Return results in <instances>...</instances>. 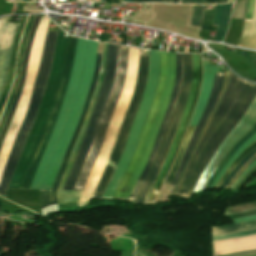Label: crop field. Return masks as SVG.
Wrapping results in <instances>:
<instances>
[{"label":"crop field","mask_w":256,"mask_h":256,"mask_svg":"<svg viewBox=\"0 0 256 256\" xmlns=\"http://www.w3.org/2000/svg\"><path fill=\"white\" fill-rule=\"evenodd\" d=\"M233 0H227V2H232Z\"/></svg>","instance_id":"crop-field-50"},{"label":"crop field","mask_w":256,"mask_h":256,"mask_svg":"<svg viewBox=\"0 0 256 256\" xmlns=\"http://www.w3.org/2000/svg\"><path fill=\"white\" fill-rule=\"evenodd\" d=\"M256 132V123L251 127V129L233 146V148L227 153V155L224 157V159L221 161L219 166L214 171L213 175L207 182L204 189H208L210 184L212 183L214 177L217 175V173L222 169V167L225 165V163L228 161V159L231 157V155L239 148V146L247 140L251 135H253Z\"/></svg>","instance_id":"crop-field-25"},{"label":"crop field","mask_w":256,"mask_h":256,"mask_svg":"<svg viewBox=\"0 0 256 256\" xmlns=\"http://www.w3.org/2000/svg\"><path fill=\"white\" fill-rule=\"evenodd\" d=\"M228 76H229V72H227L226 75H225V77H224L222 89H221V91H220V93H219V96H218V98H217V100H216V102H215V105H214V107H213V109H212V111H211V113H210V115H209V117H208V119H207V122H206V125H205L204 129L206 128L208 122L210 121V119H211V117H212V115H213V113H214V110H215V108H216V106H217V103H218V101H219V99H220V97H221V95H222V93H223V91H224V88H225V85H226ZM204 129H203V131H204ZM203 131H202V133H203ZM202 133H201V135H202ZM201 135H200V137H201ZM200 137L198 138V140H197V142H196V144H195V146H194V148H193V151H192V153H191V155H190V157H189V159H188V161H187V163H186V165H185V167H184V169H183V171H182V173H181V175H180V177H179V179H178V181H177V183H176V185H175V187L178 185V183H179V181H180V178H181V176H182V174H183V172H184V170H185V168H186V166H187V164H188V162H189V160H190V158H191V156H192V154H193V152H194V150H195V148H196V146H197V144H198V142H199V140H200Z\"/></svg>","instance_id":"crop-field-29"},{"label":"crop field","mask_w":256,"mask_h":256,"mask_svg":"<svg viewBox=\"0 0 256 256\" xmlns=\"http://www.w3.org/2000/svg\"><path fill=\"white\" fill-rule=\"evenodd\" d=\"M34 17L35 16H30L26 25H25V28H24V32H23V36H22V40H21V46H20V52H19V58H18V65H17V75H16V83L12 89V92L9 96V99H8V102H7V105H6V108H5V111L3 113V116H2V119H1V122H0V131H1V128L6 120V117H7V114H8V111H9V108H10V105H11V102L13 100V97H14V94L16 92V89H17V84H18V79H19V74H20V68H21V63H22V58H23V53H24V48H25V44H26V40H27V36H28V33H29V30H30V27L34 21Z\"/></svg>","instance_id":"crop-field-21"},{"label":"crop field","mask_w":256,"mask_h":256,"mask_svg":"<svg viewBox=\"0 0 256 256\" xmlns=\"http://www.w3.org/2000/svg\"><path fill=\"white\" fill-rule=\"evenodd\" d=\"M252 220H256V215L251 216V217H244V218H240V219H234L232 221H233L234 224H236V223L247 222V221H252Z\"/></svg>","instance_id":"crop-field-40"},{"label":"crop field","mask_w":256,"mask_h":256,"mask_svg":"<svg viewBox=\"0 0 256 256\" xmlns=\"http://www.w3.org/2000/svg\"><path fill=\"white\" fill-rule=\"evenodd\" d=\"M215 3V0H205V4Z\"/></svg>","instance_id":"crop-field-43"},{"label":"crop field","mask_w":256,"mask_h":256,"mask_svg":"<svg viewBox=\"0 0 256 256\" xmlns=\"http://www.w3.org/2000/svg\"><path fill=\"white\" fill-rule=\"evenodd\" d=\"M1 19V18H0Z\"/></svg>","instance_id":"crop-field-53"},{"label":"crop field","mask_w":256,"mask_h":256,"mask_svg":"<svg viewBox=\"0 0 256 256\" xmlns=\"http://www.w3.org/2000/svg\"><path fill=\"white\" fill-rule=\"evenodd\" d=\"M213 248H214V256H216L214 242H213Z\"/></svg>","instance_id":"crop-field-48"},{"label":"crop field","mask_w":256,"mask_h":256,"mask_svg":"<svg viewBox=\"0 0 256 256\" xmlns=\"http://www.w3.org/2000/svg\"><path fill=\"white\" fill-rule=\"evenodd\" d=\"M26 17L27 16H22L21 22H20V25H19V29H18L17 35H16L15 40H14V44H13V48H12V54H11V60H10V66H9V72H8L7 80H6L4 90H3V93H2V96H1V99H0V114L3 110L5 100H6V96H7V93L9 91V89H10V86H11L15 54H16L20 34H21V31H22L23 25L25 23Z\"/></svg>","instance_id":"crop-field-22"},{"label":"crop field","mask_w":256,"mask_h":256,"mask_svg":"<svg viewBox=\"0 0 256 256\" xmlns=\"http://www.w3.org/2000/svg\"><path fill=\"white\" fill-rule=\"evenodd\" d=\"M256 153V148L252 150L250 153H248L241 162L235 167V169L231 172V174L228 176V178L225 180V182L220 186V188H224L225 185L229 182V180L232 178V176L240 169V167L252 156Z\"/></svg>","instance_id":"crop-field-34"},{"label":"crop field","mask_w":256,"mask_h":256,"mask_svg":"<svg viewBox=\"0 0 256 256\" xmlns=\"http://www.w3.org/2000/svg\"><path fill=\"white\" fill-rule=\"evenodd\" d=\"M256 140V133L250 137L246 142H244L241 147L232 155V157L229 159V161L226 163V165L223 167V169L219 172V174L214 179L212 185L210 188H214L216 183L219 181L221 176L224 174V172L229 168V166L234 162V160L239 156V154L253 141Z\"/></svg>","instance_id":"crop-field-28"},{"label":"crop field","mask_w":256,"mask_h":256,"mask_svg":"<svg viewBox=\"0 0 256 256\" xmlns=\"http://www.w3.org/2000/svg\"><path fill=\"white\" fill-rule=\"evenodd\" d=\"M58 29L51 71L40 108L26 139L8 188L29 189L67 88L77 38Z\"/></svg>","instance_id":"crop-field-1"},{"label":"crop field","mask_w":256,"mask_h":256,"mask_svg":"<svg viewBox=\"0 0 256 256\" xmlns=\"http://www.w3.org/2000/svg\"><path fill=\"white\" fill-rule=\"evenodd\" d=\"M250 234H256V230L244 231V232H240V233H236V234H231V235L216 236V237H213V241H215V240H223V239H231V238H236V237L250 235Z\"/></svg>","instance_id":"crop-field-36"},{"label":"crop field","mask_w":256,"mask_h":256,"mask_svg":"<svg viewBox=\"0 0 256 256\" xmlns=\"http://www.w3.org/2000/svg\"><path fill=\"white\" fill-rule=\"evenodd\" d=\"M179 82H180V54H176V78H175V82H174L173 89H172V92H171V96H170L169 104H168V107H167V111H166L163 123L161 125L160 131L157 135V139H156V141L153 145L151 155L148 159V163H147L144 171L142 172L140 178L138 179L137 183L135 184V186H134V188H133V190L130 194V197H129L130 202H133V200L135 198V195H136V192H137L140 184L142 183L143 179L145 178V176H146V174H147V172L150 168V165H151V163L154 159L158 144H159V142H160V140L163 136L165 126L168 122V118H169L170 112L172 110L174 101H175V97H176V93H177V90H178Z\"/></svg>","instance_id":"crop-field-17"},{"label":"crop field","mask_w":256,"mask_h":256,"mask_svg":"<svg viewBox=\"0 0 256 256\" xmlns=\"http://www.w3.org/2000/svg\"><path fill=\"white\" fill-rule=\"evenodd\" d=\"M10 18H2L0 23V96L8 71L13 40L19 25L9 23Z\"/></svg>","instance_id":"crop-field-16"},{"label":"crop field","mask_w":256,"mask_h":256,"mask_svg":"<svg viewBox=\"0 0 256 256\" xmlns=\"http://www.w3.org/2000/svg\"><path fill=\"white\" fill-rule=\"evenodd\" d=\"M160 76L152 107L129 167L113 198L127 201L150 155L158 128L163 120L175 78V54L160 52Z\"/></svg>","instance_id":"crop-field-4"},{"label":"crop field","mask_w":256,"mask_h":256,"mask_svg":"<svg viewBox=\"0 0 256 256\" xmlns=\"http://www.w3.org/2000/svg\"><path fill=\"white\" fill-rule=\"evenodd\" d=\"M127 55H128V51H123V50L119 51L116 79L113 84V88H112L111 94L109 96L107 105L105 107L103 116L101 118L99 127L97 129V132L95 134L92 145H91V147L88 151V154L86 156L85 162H84L81 172L79 174V177H78V180L74 187V190H82L83 189L84 184L87 180L88 174L94 164L96 156H97L99 149L102 145V142L105 137L107 127H108L115 103H116V101L120 95L121 89H122V85H123V81H124V77H125V71H126Z\"/></svg>","instance_id":"crop-field-12"},{"label":"crop field","mask_w":256,"mask_h":256,"mask_svg":"<svg viewBox=\"0 0 256 256\" xmlns=\"http://www.w3.org/2000/svg\"><path fill=\"white\" fill-rule=\"evenodd\" d=\"M40 17L41 16H36L34 25H33L32 29L29 33V36H28V40H27V44H26V48H25V53H24V58H23V63H22V69H21L18 89H17V92L15 94L14 100L12 102L7 120H6V122L3 126L1 134H0V147H1L2 141L4 139L5 133L7 131V128L10 124L11 119H12L13 113L15 111V108H16L19 96L21 94L22 88L24 86L25 75H26V71H27V60H28V56H29L30 46H31V42H32V39H33V36H34L35 30L37 28Z\"/></svg>","instance_id":"crop-field-19"},{"label":"crop field","mask_w":256,"mask_h":256,"mask_svg":"<svg viewBox=\"0 0 256 256\" xmlns=\"http://www.w3.org/2000/svg\"><path fill=\"white\" fill-rule=\"evenodd\" d=\"M48 22H49L48 17L46 16L41 17V20L39 22L38 28L36 30V33L33 39L30 56L28 60V71L26 75L25 87L19 99L16 111L14 113L13 119L6 133V136L1 148V152H0V178L4 169L11 145L13 143L14 137L25 115V111L27 108V104L29 101V97L32 91L33 83H34L35 76L39 66L40 55H41V51H42V47H43V43H44L46 31H47Z\"/></svg>","instance_id":"crop-field-9"},{"label":"crop field","mask_w":256,"mask_h":256,"mask_svg":"<svg viewBox=\"0 0 256 256\" xmlns=\"http://www.w3.org/2000/svg\"><path fill=\"white\" fill-rule=\"evenodd\" d=\"M256 159V154L252 156L242 167L241 169L233 176V178L230 180V182L227 184L226 187H229L232 182L239 176V174L246 168L248 167L254 160ZM241 175V174H240ZM234 183V182H233ZM225 187V188H226Z\"/></svg>","instance_id":"crop-field-37"},{"label":"crop field","mask_w":256,"mask_h":256,"mask_svg":"<svg viewBox=\"0 0 256 256\" xmlns=\"http://www.w3.org/2000/svg\"><path fill=\"white\" fill-rule=\"evenodd\" d=\"M250 210H256V204L255 203H249L244 205H238L227 208L224 215L244 212V211H250Z\"/></svg>","instance_id":"crop-field-33"},{"label":"crop field","mask_w":256,"mask_h":256,"mask_svg":"<svg viewBox=\"0 0 256 256\" xmlns=\"http://www.w3.org/2000/svg\"><path fill=\"white\" fill-rule=\"evenodd\" d=\"M192 75V64H191V54H181V82L177 94V98L170 115L169 122L166 126L164 137L158 147L155 159L151 165V168L141 184L138 193L136 195L133 204L142 205L145 197L158 175L162 164L166 158L169 146L171 144L172 138L174 136L180 115L185 107L187 92Z\"/></svg>","instance_id":"crop-field-6"},{"label":"crop field","mask_w":256,"mask_h":256,"mask_svg":"<svg viewBox=\"0 0 256 256\" xmlns=\"http://www.w3.org/2000/svg\"><path fill=\"white\" fill-rule=\"evenodd\" d=\"M255 93V85L230 73L224 94L174 192L175 195L190 197L205 165L239 121Z\"/></svg>","instance_id":"crop-field-3"},{"label":"crop field","mask_w":256,"mask_h":256,"mask_svg":"<svg viewBox=\"0 0 256 256\" xmlns=\"http://www.w3.org/2000/svg\"><path fill=\"white\" fill-rule=\"evenodd\" d=\"M98 43L78 38L74 65L57 122L30 189H51L65 150L76 129L91 83Z\"/></svg>","instance_id":"crop-field-2"},{"label":"crop field","mask_w":256,"mask_h":256,"mask_svg":"<svg viewBox=\"0 0 256 256\" xmlns=\"http://www.w3.org/2000/svg\"><path fill=\"white\" fill-rule=\"evenodd\" d=\"M100 56H98L97 54V60H96V67H95V71H94V75H93V79H92V83H91V86H90V89H89V93H88V96H87V99H86V102H85V105H84V108H83V111H82V114H81V117H80V120H79V123H78V126H77V129H76V132L66 150V153H65V156H64V160H63V163H62V166L54 180V184H53V187H52V191H46V190H40V204H41V208L45 207V206H48V205H52V204H57V199H56V188L59 184V181L61 179V176L66 168V164H67V161H68V158L70 156V153H71V150H72V147H73V144L75 142V139L78 135V132L81 128V125H82V122H83V119H84V116L86 114V111H87V108H88V105H89V101H90V98H91V95H92V92L94 90V87H95V83H96V79H97V75H98V71H99V65H100Z\"/></svg>","instance_id":"crop-field-15"},{"label":"crop field","mask_w":256,"mask_h":256,"mask_svg":"<svg viewBox=\"0 0 256 256\" xmlns=\"http://www.w3.org/2000/svg\"><path fill=\"white\" fill-rule=\"evenodd\" d=\"M236 1V0H235Z\"/></svg>","instance_id":"crop-field-54"},{"label":"crop field","mask_w":256,"mask_h":256,"mask_svg":"<svg viewBox=\"0 0 256 256\" xmlns=\"http://www.w3.org/2000/svg\"><path fill=\"white\" fill-rule=\"evenodd\" d=\"M238 45L256 49V0L252 20H245L244 32Z\"/></svg>","instance_id":"crop-field-23"},{"label":"crop field","mask_w":256,"mask_h":256,"mask_svg":"<svg viewBox=\"0 0 256 256\" xmlns=\"http://www.w3.org/2000/svg\"><path fill=\"white\" fill-rule=\"evenodd\" d=\"M222 78H223V73H216L215 74V80H214V84L212 86L210 98H209V100L206 104V107H205V109L202 113V116H201V118H200V120H199L193 134H192L191 141H190L189 147L187 149L186 155L184 157V160H183L177 174L175 175L174 179L171 182L172 185L175 184V182H176V180H177V178H178V176H179V174H180V172H181V170H182V168H183V166H184V164H185V162H186V160H187V158H188V156H189V154H190V152H191V150H192V148H193V146H194V144H195V142H196L203 126H204V124H205V122H206V119H207V117H208V115H209V113H210V111H211V109L214 105V102H215V99L217 97L218 91H219L220 86L222 84Z\"/></svg>","instance_id":"crop-field-18"},{"label":"crop field","mask_w":256,"mask_h":256,"mask_svg":"<svg viewBox=\"0 0 256 256\" xmlns=\"http://www.w3.org/2000/svg\"><path fill=\"white\" fill-rule=\"evenodd\" d=\"M114 1H123V0H114Z\"/></svg>","instance_id":"crop-field-51"},{"label":"crop field","mask_w":256,"mask_h":256,"mask_svg":"<svg viewBox=\"0 0 256 256\" xmlns=\"http://www.w3.org/2000/svg\"><path fill=\"white\" fill-rule=\"evenodd\" d=\"M245 214H247L248 216L249 215H254V214H256V211L246 212Z\"/></svg>","instance_id":"crop-field-44"},{"label":"crop field","mask_w":256,"mask_h":256,"mask_svg":"<svg viewBox=\"0 0 256 256\" xmlns=\"http://www.w3.org/2000/svg\"><path fill=\"white\" fill-rule=\"evenodd\" d=\"M181 3L204 4V0H181Z\"/></svg>","instance_id":"crop-field-42"},{"label":"crop field","mask_w":256,"mask_h":256,"mask_svg":"<svg viewBox=\"0 0 256 256\" xmlns=\"http://www.w3.org/2000/svg\"><path fill=\"white\" fill-rule=\"evenodd\" d=\"M253 4H254V0H249L248 1V6H247L246 17L245 18L251 19Z\"/></svg>","instance_id":"crop-field-39"},{"label":"crop field","mask_w":256,"mask_h":256,"mask_svg":"<svg viewBox=\"0 0 256 256\" xmlns=\"http://www.w3.org/2000/svg\"><path fill=\"white\" fill-rule=\"evenodd\" d=\"M147 70H148V56L140 55V63H139V69L137 73L136 83H135V89L132 96V99L130 101L129 107L124 115V120L121 125L116 143L114 145V148L111 152V155L107 161V164L105 166V169L102 173V176L98 182V185L95 189V192L91 199H100L104 189L118 163V160L121 156L125 141L127 139V136L129 134L131 123L134 119L137 107L141 101L143 90L146 84V78H147Z\"/></svg>","instance_id":"crop-field-10"},{"label":"crop field","mask_w":256,"mask_h":256,"mask_svg":"<svg viewBox=\"0 0 256 256\" xmlns=\"http://www.w3.org/2000/svg\"><path fill=\"white\" fill-rule=\"evenodd\" d=\"M32 1H39V0H32Z\"/></svg>","instance_id":"crop-field-52"},{"label":"crop field","mask_w":256,"mask_h":256,"mask_svg":"<svg viewBox=\"0 0 256 256\" xmlns=\"http://www.w3.org/2000/svg\"><path fill=\"white\" fill-rule=\"evenodd\" d=\"M204 5H193L190 25L201 27Z\"/></svg>","instance_id":"crop-field-30"},{"label":"crop field","mask_w":256,"mask_h":256,"mask_svg":"<svg viewBox=\"0 0 256 256\" xmlns=\"http://www.w3.org/2000/svg\"><path fill=\"white\" fill-rule=\"evenodd\" d=\"M72 1H76V0H68V2H72Z\"/></svg>","instance_id":"crop-field-49"},{"label":"crop field","mask_w":256,"mask_h":256,"mask_svg":"<svg viewBox=\"0 0 256 256\" xmlns=\"http://www.w3.org/2000/svg\"><path fill=\"white\" fill-rule=\"evenodd\" d=\"M248 252H256V250H254V251H248ZM243 253H247V252H242V253H237V254H243ZM231 255H236V254H231ZM225 256H230V255H225Z\"/></svg>","instance_id":"crop-field-45"},{"label":"crop field","mask_w":256,"mask_h":256,"mask_svg":"<svg viewBox=\"0 0 256 256\" xmlns=\"http://www.w3.org/2000/svg\"><path fill=\"white\" fill-rule=\"evenodd\" d=\"M226 0H216V3H225Z\"/></svg>","instance_id":"crop-field-46"},{"label":"crop field","mask_w":256,"mask_h":256,"mask_svg":"<svg viewBox=\"0 0 256 256\" xmlns=\"http://www.w3.org/2000/svg\"><path fill=\"white\" fill-rule=\"evenodd\" d=\"M247 0L235 2L231 17L244 19Z\"/></svg>","instance_id":"crop-field-32"},{"label":"crop field","mask_w":256,"mask_h":256,"mask_svg":"<svg viewBox=\"0 0 256 256\" xmlns=\"http://www.w3.org/2000/svg\"><path fill=\"white\" fill-rule=\"evenodd\" d=\"M56 33L57 32H47L46 35L41 56V62L26 111V115L15 137L0 181V194L3 196L7 190L10 178L14 172L23 144L31 129L32 123L40 105L42 93L49 73Z\"/></svg>","instance_id":"crop-field-5"},{"label":"crop field","mask_w":256,"mask_h":256,"mask_svg":"<svg viewBox=\"0 0 256 256\" xmlns=\"http://www.w3.org/2000/svg\"><path fill=\"white\" fill-rule=\"evenodd\" d=\"M159 76V52L150 50L149 71L147 84L144 90L142 101L138 107L130 134L126 141L120 161L110 179V182L102 198H112L121 180L126 166L135 150L144 120L151 107Z\"/></svg>","instance_id":"crop-field-7"},{"label":"crop field","mask_w":256,"mask_h":256,"mask_svg":"<svg viewBox=\"0 0 256 256\" xmlns=\"http://www.w3.org/2000/svg\"><path fill=\"white\" fill-rule=\"evenodd\" d=\"M244 256H256V253L250 254V255H244Z\"/></svg>","instance_id":"crop-field-47"},{"label":"crop field","mask_w":256,"mask_h":256,"mask_svg":"<svg viewBox=\"0 0 256 256\" xmlns=\"http://www.w3.org/2000/svg\"><path fill=\"white\" fill-rule=\"evenodd\" d=\"M106 47H107V44L104 43L103 51H102L101 67H100V71H99V76H98L97 84H96L94 93L92 95V98H91V101H90V105H89L86 117L84 119L81 131H80V133H79V135H78V137L76 139V142H75V145L73 147L71 156L69 158L66 171H65V173H64V175H63V177L61 179V182H60V184H59V186L57 188L58 204H78L79 197H80V194L82 192V191H65V190H62V188H63V184H64V182H65V180L67 178L68 172H69V170H70V168H71V166L73 164V158H74V156H75V154L77 152L79 143H80V141H81V139L83 137L86 124H87L88 119H89V117L91 115L92 108H93V105H94V102H95V99H96V96H97V93H98V89H99L100 83H101L102 78H103V73H104V68H105V58H106Z\"/></svg>","instance_id":"crop-field-14"},{"label":"crop field","mask_w":256,"mask_h":256,"mask_svg":"<svg viewBox=\"0 0 256 256\" xmlns=\"http://www.w3.org/2000/svg\"><path fill=\"white\" fill-rule=\"evenodd\" d=\"M192 60H193V75H192V81H191V85H190V89L187 97L186 107L181 115L175 136L173 138V141L170 146L164 165L158 177L156 178L154 184L152 185L144 204H154L157 194L161 188L162 182L180 146L187 124L191 118L192 112L195 107L199 89H200L201 75H202L200 54H192Z\"/></svg>","instance_id":"crop-field-11"},{"label":"crop field","mask_w":256,"mask_h":256,"mask_svg":"<svg viewBox=\"0 0 256 256\" xmlns=\"http://www.w3.org/2000/svg\"><path fill=\"white\" fill-rule=\"evenodd\" d=\"M119 46L108 44L106 70L103 82L100 86L99 93L94 105L91 118L87 124L84 137L80 143L78 152L74 158V165L68 175L67 181L63 189L73 190V186L77 180L78 174L84 162L87 151L91 145L92 139L96 132L100 118L102 116L104 107L106 105L108 96L111 91L113 81L115 79L116 64L118 59Z\"/></svg>","instance_id":"crop-field-8"},{"label":"crop field","mask_w":256,"mask_h":256,"mask_svg":"<svg viewBox=\"0 0 256 256\" xmlns=\"http://www.w3.org/2000/svg\"><path fill=\"white\" fill-rule=\"evenodd\" d=\"M250 229H256V221L230 225V226L215 227V228H212V232H213V236H215V235L239 232V231L250 230Z\"/></svg>","instance_id":"crop-field-27"},{"label":"crop field","mask_w":256,"mask_h":256,"mask_svg":"<svg viewBox=\"0 0 256 256\" xmlns=\"http://www.w3.org/2000/svg\"><path fill=\"white\" fill-rule=\"evenodd\" d=\"M256 165V160L248 167L246 168L242 173L241 175L234 181V183L230 186V188H234L235 185L240 181V179L254 166Z\"/></svg>","instance_id":"crop-field-38"},{"label":"crop field","mask_w":256,"mask_h":256,"mask_svg":"<svg viewBox=\"0 0 256 256\" xmlns=\"http://www.w3.org/2000/svg\"><path fill=\"white\" fill-rule=\"evenodd\" d=\"M245 114L250 115L256 118V94L246 110ZM243 115L237 125L232 129V131L227 135V137L223 140V142L218 147L217 151L213 155L210 162L205 167L202 175L200 176L194 192L202 190L213 171L220 163L222 158L226 155V153L230 150V148L247 132V130L256 122L255 118H252L247 115ZM193 192V193H194Z\"/></svg>","instance_id":"crop-field-13"},{"label":"crop field","mask_w":256,"mask_h":256,"mask_svg":"<svg viewBox=\"0 0 256 256\" xmlns=\"http://www.w3.org/2000/svg\"><path fill=\"white\" fill-rule=\"evenodd\" d=\"M194 128H195V126H189L188 127V130L186 132V135H185V138L183 140L182 146H181V148L179 150V153H178V155L176 157V160H175V162H174V164H173V166H172V168L170 170V173H169L165 183L170 184L171 180L173 179V177H174V175H175V173H176V171L178 169V166H179V164L181 162V159H182V157H183V155H184V153H185V151H186V149L188 147V144H189V141H190V137H191V134H192Z\"/></svg>","instance_id":"crop-field-26"},{"label":"crop field","mask_w":256,"mask_h":256,"mask_svg":"<svg viewBox=\"0 0 256 256\" xmlns=\"http://www.w3.org/2000/svg\"><path fill=\"white\" fill-rule=\"evenodd\" d=\"M229 4L216 5L214 24L219 25L215 41H220L225 33L226 23L230 10Z\"/></svg>","instance_id":"crop-field-24"},{"label":"crop field","mask_w":256,"mask_h":256,"mask_svg":"<svg viewBox=\"0 0 256 256\" xmlns=\"http://www.w3.org/2000/svg\"><path fill=\"white\" fill-rule=\"evenodd\" d=\"M214 9L205 10V15L203 19V24L201 29L210 30L212 26Z\"/></svg>","instance_id":"crop-field-35"},{"label":"crop field","mask_w":256,"mask_h":256,"mask_svg":"<svg viewBox=\"0 0 256 256\" xmlns=\"http://www.w3.org/2000/svg\"><path fill=\"white\" fill-rule=\"evenodd\" d=\"M203 67H204V76H203V83L202 89L199 97V101L195 112L192 116L191 122L189 125H196L201 113L205 107L206 101L209 97L211 86L213 84L214 73L219 71V67L223 66H209V61L203 60Z\"/></svg>","instance_id":"crop-field-20"},{"label":"crop field","mask_w":256,"mask_h":256,"mask_svg":"<svg viewBox=\"0 0 256 256\" xmlns=\"http://www.w3.org/2000/svg\"><path fill=\"white\" fill-rule=\"evenodd\" d=\"M256 147V141L254 143H252L251 145H249L242 153L241 155L236 159V161L231 165V167L225 172V174L222 176V178L220 179V181L218 182V184L215 186V188H218L223 182L224 180L227 178V176L230 174V172L232 171V169L235 167V165L252 149H254Z\"/></svg>","instance_id":"crop-field-31"},{"label":"crop field","mask_w":256,"mask_h":256,"mask_svg":"<svg viewBox=\"0 0 256 256\" xmlns=\"http://www.w3.org/2000/svg\"><path fill=\"white\" fill-rule=\"evenodd\" d=\"M125 2H135V0H124ZM163 2L172 3V0H162ZM161 0H149V2H162ZM136 2H148V0H136Z\"/></svg>","instance_id":"crop-field-41"}]
</instances>
